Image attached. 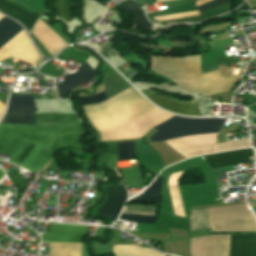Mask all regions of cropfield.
<instances>
[{
  "mask_svg": "<svg viewBox=\"0 0 256 256\" xmlns=\"http://www.w3.org/2000/svg\"><path fill=\"white\" fill-rule=\"evenodd\" d=\"M153 106L131 87L101 104L85 106V109L92 125L100 131L126 124L154 109ZM224 121L217 118L175 116L153 127L159 131L149 139L155 142L185 135L219 132Z\"/></svg>",
  "mask_w": 256,
  "mask_h": 256,
  "instance_id": "8a807250",
  "label": "crop field"
},
{
  "mask_svg": "<svg viewBox=\"0 0 256 256\" xmlns=\"http://www.w3.org/2000/svg\"><path fill=\"white\" fill-rule=\"evenodd\" d=\"M70 132L86 131L83 127H39L0 124V152L12 157L25 140L44 143Z\"/></svg>",
  "mask_w": 256,
  "mask_h": 256,
  "instance_id": "ac0d7876",
  "label": "crop field"
},
{
  "mask_svg": "<svg viewBox=\"0 0 256 256\" xmlns=\"http://www.w3.org/2000/svg\"><path fill=\"white\" fill-rule=\"evenodd\" d=\"M251 256H256V235H251ZM250 235L221 236L209 235L190 239L191 256H250Z\"/></svg>",
  "mask_w": 256,
  "mask_h": 256,
  "instance_id": "34b2d1b8",
  "label": "crop field"
},
{
  "mask_svg": "<svg viewBox=\"0 0 256 256\" xmlns=\"http://www.w3.org/2000/svg\"><path fill=\"white\" fill-rule=\"evenodd\" d=\"M209 224L214 232L256 231V220L246 204L209 209Z\"/></svg>",
  "mask_w": 256,
  "mask_h": 256,
  "instance_id": "412701ff",
  "label": "crop field"
},
{
  "mask_svg": "<svg viewBox=\"0 0 256 256\" xmlns=\"http://www.w3.org/2000/svg\"><path fill=\"white\" fill-rule=\"evenodd\" d=\"M55 140L44 144L30 142L14 164L21 165L36 174L47 163Z\"/></svg>",
  "mask_w": 256,
  "mask_h": 256,
  "instance_id": "f4fd0767",
  "label": "crop field"
},
{
  "mask_svg": "<svg viewBox=\"0 0 256 256\" xmlns=\"http://www.w3.org/2000/svg\"><path fill=\"white\" fill-rule=\"evenodd\" d=\"M88 229L89 227L85 226L54 224L51 233L46 232L45 236H42V241L83 243Z\"/></svg>",
  "mask_w": 256,
  "mask_h": 256,
  "instance_id": "dd49c442",
  "label": "crop field"
},
{
  "mask_svg": "<svg viewBox=\"0 0 256 256\" xmlns=\"http://www.w3.org/2000/svg\"><path fill=\"white\" fill-rule=\"evenodd\" d=\"M142 92L156 105L171 112L192 116H202L198 108V103L196 102H183L172 97L154 96L152 94L164 93H155L150 90H144Z\"/></svg>",
  "mask_w": 256,
  "mask_h": 256,
  "instance_id": "e52e79f7",
  "label": "crop field"
},
{
  "mask_svg": "<svg viewBox=\"0 0 256 256\" xmlns=\"http://www.w3.org/2000/svg\"><path fill=\"white\" fill-rule=\"evenodd\" d=\"M104 188L108 193V201L105 205L99 207L97 213L106 215L110 217L111 220H116L127 198V190L122 184L118 187Z\"/></svg>",
  "mask_w": 256,
  "mask_h": 256,
  "instance_id": "d8731c3e",
  "label": "crop field"
},
{
  "mask_svg": "<svg viewBox=\"0 0 256 256\" xmlns=\"http://www.w3.org/2000/svg\"><path fill=\"white\" fill-rule=\"evenodd\" d=\"M253 156L252 149L236 150L218 154L203 156L212 169L234 165L239 163L250 162V157Z\"/></svg>",
  "mask_w": 256,
  "mask_h": 256,
  "instance_id": "5a996713",
  "label": "crop field"
},
{
  "mask_svg": "<svg viewBox=\"0 0 256 256\" xmlns=\"http://www.w3.org/2000/svg\"><path fill=\"white\" fill-rule=\"evenodd\" d=\"M95 75V71L86 61L77 73L64 76L63 84H56L59 92V98H64L70 90L74 89L80 84L89 82L94 78Z\"/></svg>",
  "mask_w": 256,
  "mask_h": 256,
  "instance_id": "3316defc",
  "label": "crop field"
},
{
  "mask_svg": "<svg viewBox=\"0 0 256 256\" xmlns=\"http://www.w3.org/2000/svg\"><path fill=\"white\" fill-rule=\"evenodd\" d=\"M0 10L16 20L22 22L30 31L38 17L29 15L27 12L8 5L4 0H0Z\"/></svg>",
  "mask_w": 256,
  "mask_h": 256,
  "instance_id": "28ad6ade",
  "label": "crop field"
},
{
  "mask_svg": "<svg viewBox=\"0 0 256 256\" xmlns=\"http://www.w3.org/2000/svg\"><path fill=\"white\" fill-rule=\"evenodd\" d=\"M7 111L35 113L33 96L11 95Z\"/></svg>",
  "mask_w": 256,
  "mask_h": 256,
  "instance_id": "d1516ede",
  "label": "crop field"
},
{
  "mask_svg": "<svg viewBox=\"0 0 256 256\" xmlns=\"http://www.w3.org/2000/svg\"><path fill=\"white\" fill-rule=\"evenodd\" d=\"M113 252L116 256H164L153 249L133 245L114 246Z\"/></svg>",
  "mask_w": 256,
  "mask_h": 256,
  "instance_id": "22f410ed",
  "label": "crop field"
},
{
  "mask_svg": "<svg viewBox=\"0 0 256 256\" xmlns=\"http://www.w3.org/2000/svg\"><path fill=\"white\" fill-rule=\"evenodd\" d=\"M183 173V171L175 170L174 173L170 176L169 185L170 190L172 194V198L174 201V205L177 211V215L180 217H185L183 205L181 202L180 194L177 188V179L180 177V175Z\"/></svg>",
  "mask_w": 256,
  "mask_h": 256,
  "instance_id": "cbeb9de0",
  "label": "crop field"
},
{
  "mask_svg": "<svg viewBox=\"0 0 256 256\" xmlns=\"http://www.w3.org/2000/svg\"><path fill=\"white\" fill-rule=\"evenodd\" d=\"M22 28L17 25L15 21L4 17L0 20V46H2L6 41H8L12 36H14Z\"/></svg>",
  "mask_w": 256,
  "mask_h": 256,
  "instance_id": "5142ce71",
  "label": "crop field"
},
{
  "mask_svg": "<svg viewBox=\"0 0 256 256\" xmlns=\"http://www.w3.org/2000/svg\"><path fill=\"white\" fill-rule=\"evenodd\" d=\"M0 123L35 125V114L7 112Z\"/></svg>",
  "mask_w": 256,
  "mask_h": 256,
  "instance_id": "d9b57169",
  "label": "crop field"
},
{
  "mask_svg": "<svg viewBox=\"0 0 256 256\" xmlns=\"http://www.w3.org/2000/svg\"><path fill=\"white\" fill-rule=\"evenodd\" d=\"M82 135L83 133H76V134H67L65 136L59 137L57 139V142L53 151H56L66 146L73 147V148H83L80 142Z\"/></svg>",
  "mask_w": 256,
  "mask_h": 256,
  "instance_id": "733c2abd",
  "label": "crop field"
},
{
  "mask_svg": "<svg viewBox=\"0 0 256 256\" xmlns=\"http://www.w3.org/2000/svg\"><path fill=\"white\" fill-rule=\"evenodd\" d=\"M123 8H124V4H123ZM125 8L128 10V12L130 11V12H133V13H135V14H137L138 16H139V18L138 19H136L135 20V24L137 25V26H139V27H141V28H145V29H148L149 27H151L153 24H151V23H149L148 22V20H147V17H146V15H145V13H144V11H142V10H140V8L137 6V4H136V2H133V3H128V4H126L125 5ZM124 8V9H125ZM125 9V10H126ZM127 10H126V12H127ZM127 12V13H128ZM137 16V17H138ZM134 21V20H133ZM135 24H134V26H135ZM155 25V24H154ZM153 25V26H154ZM152 26V27H153ZM138 27V28H139ZM151 27V28H152ZM150 28V29H151ZM144 29V30H145Z\"/></svg>",
  "mask_w": 256,
  "mask_h": 256,
  "instance_id": "4a817a6b",
  "label": "crop field"
},
{
  "mask_svg": "<svg viewBox=\"0 0 256 256\" xmlns=\"http://www.w3.org/2000/svg\"><path fill=\"white\" fill-rule=\"evenodd\" d=\"M135 159L134 141L118 143V161Z\"/></svg>",
  "mask_w": 256,
  "mask_h": 256,
  "instance_id": "bc2a9ffb",
  "label": "crop field"
},
{
  "mask_svg": "<svg viewBox=\"0 0 256 256\" xmlns=\"http://www.w3.org/2000/svg\"><path fill=\"white\" fill-rule=\"evenodd\" d=\"M215 145L211 146H203V147H192V148H183L178 150L179 153L184 155L185 157H193L198 155H204L208 153L214 152Z\"/></svg>",
  "mask_w": 256,
  "mask_h": 256,
  "instance_id": "214f88e0",
  "label": "crop field"
},
{
  "mask_svg": "<svg viewBox=\"0 0 256 256\" xmlns=\"http://www.w3.org/2000/svg\"><path fill=\"white\" fill-rule=\"evenodd\" d=\"M65 2L66 3L56 6L53 9L55 10L57 17H60L68 22L73 19L69 10L74 8L75 4L72 0H65Z\"/></svg>",
  "mask_w": 256,
  "mask_h": 256,
  "instance_id": "92a150f3",
  "label": "crop field"
},
{
  "mask_svg": "<svg viewBox=\"0 0 256 256\" xmlns=\"http://www.w3.org/2000/svg\"><path fill=\"white\" fill-rule=\"evenodd\" d=\"M161 201L159 193L144 192L141 195L129 200V202L159 204Z\"/></svg>",
  "mask_w": 256,
  "mask_h": 256,
  "instance_id": "dafd665d",
  "label": "crop field"
},
{
  "mask_svg": "<svg viewBox=\"0 0 256 256\" xmlns=\"http://www.w3.org/2000/svg\"><path fill=\"white\" fill-rule=\"evenodd\" d=\"M250 143L249 140H240V141H230L222 144H218L216 147V151H223V150H229V149H235V148H243V147H249Z\"/></svg>",
  "mask_w": 256,
  "mask_h": 256,
  "instance_id": "00972430",
  "label": "crop field"
},
{
  "mask_svg": "<svg viewBox=\"0 0 256 256\" xmlns=\"http://www.w3.org/2000/svg\"><path fill=\"white\" fill-rule=\"evenodd\" d=\"M120 218L133 221V222H146V223H155L157 219V217L136 216V215H121Z\"/></svg>",
  "mask_w": 256,
  "mask_h": 256,
  "instance_id": "a9b5d70f",
  "label": "crop field"
},
{
  "mask_svg": "<svg viewBox=\"0 0 256 256\" xmlns=\"http://www.w3.org/2000/svg\"><path fill=\"white\" fill-rule=\"evenodd\" d=\"M228 2H230V0H212V1H208V2H205V3L199 4L198 5V10H199V12L205 11V10L223 5V4L228 3Z\"/></svg>",
  "mask_w": 256,
  "mask_h": 256,
  "instance_id": "4177f3b9",
  "label": "crop field"
},
{
  "mask_svg": "<svg viewBox=\"0 0 256 256\" xmlns=\"http://www.w3.org/2000/svg\"><path fill=\"white\" fill-rule=\"evenodd\" d=\"M80 100H81V105H87V104H95V103H100L102 101H105L106 97H105V94L103 93L94 97L80 98Z\"/></svg>",
  "mask_w": 256,
  "mask_h": 256,
  "instance_id": "730fd06b",
  "label": "crop field"
},
{
  "mask_svg": "<svg viewBox=\"0 0 256 256\" xmlns=\"http://www.w3.org/2000/svg\"><path fill=\"white\" fill-rule=\"evenodd\" d=\"M162 179L163 178L157 177L156 180L154 181V183L145 191L159 192L161 183H162Z\"/></svg>",
  "mask_w": 256,
  "mask_h": 256,
  "instance_id": "eef30255",
  "label": "crop field"
},
{
  "mask_svg": "<svg viewBox=\"0 0 256 256\" xmlns=\"http://www.w3.org/2000/svg\"><path fill=\"white\" fill-rule=\"evenodd\" d=\"M63 2H64L63 0H55V1H52L51 4H52V6L54 7V6H56V5H58V4H61V3H63Z\"/></svg>",
  "mask_w": 256,
  "mask_h": 256,
  "instance_id": "ae1a2a85",
  "label": "crop field"
},
{
  "mask_svg": "<svg viewBox=\"0 0 256 256\" xmlns=\"http://www.w3.org/2000/svg\"><path fill=\"white\" fill-rule=\"evenodd\" d=\"M4 107H5V105L0 102V117H1V115L3 113Z\"/></svg>",
  "mask_w": 256,
  "mask_h": 256,
  "instance_id": "d3111659",
  "label": "crop field"
},
{
  "mask_svg": "<svg viewBox=\"0 0 256 256\" xmlns=\"http://www.w3.org/2000/svg\"><path fill=\"white\" fill-rule=\"evenodd\" d=\"M5 177V174L3 173V171L0 169V182L1 180Z\"/></svg>",
  "mask_w": 256,
  "mask_h": 256,
  "instance_id": "750c4746",
  "label": "crop field"
},
{
  "mask_svg": "<svg viewBox=\"0 0 256 256\" xmlns=\"http://www.w3.org/2000/svg\"><path fill=\"white\" fill-rule=\"evenodd\" d=\"M8 94H0V99H7Z\"/></svg>",
  "mask_w": 256,
  "mask_h": 256,
  "instance_id": "bd1437ed",
  "label": "crop field"
},
{
  "mask_svg": "<svg viewBox=\"0 0 256 256\" xmlns=\"http://www.w3.org/2000/svg\"><path fill=\"white\" fill-rule=\"evenodd\" d=\"M71 12V14H72V16H73V12H72V10L70 11ZM73 18L75 19V17L73 16Z\"/></svg>",
  "mask_w": 256,
  "mask_h": 256,
  "instance_id": "1d83c4d3",
  "label": "crop field"
},
{
  "mask_svg": "<svg viewBox=\"0 0 256 256\" xmlns=\"http://www.w3.org/2000/svg\"><path fill=\"white\" fill-rule=\"evenodd\" d=\"M4 16L0 14V19L3 18Z\"/></svg>",
  "mask_w": 256,
  "mask_h": 256,
  "instance_id": "120bbe31",
  "label": "crop field"
}]
</instances>
